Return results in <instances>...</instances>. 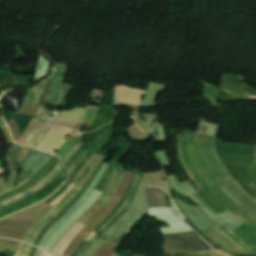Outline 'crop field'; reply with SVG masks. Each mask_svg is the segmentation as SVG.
<instances>
[{
    "label": "crop field",
    "instance_id": "crop-field-36",
    "mask_svg": "<svg viewBox=\"0 0 256 256\" xmlns=\"http://www.w3.org/2000/svg\"><path fill=\"white\" fill-rule=\"evenodd\" d=\"M135 114V119L137 120V122L141 125V127L144 129V131H150L149 128L145 125V123L142 121V119L138 116L137 111H132ZM135 120V122H136ZM136 122L137 126L139 127V129L141 130V132H144L143 129L139 126V124Z\"/></svg>",
    "mask_w": 256,
    "mask_h": 256
},
{
    "label": "crop field",
    "instance_id": "crop-field-6",
    "mask_svg": "<svg viewBox=\"0 0 256 256\" xmlns=\"http://www.w3.org/2000/svg\"><path fill=\"white\" fill-rule=\"evenodd\" d=\"M198 153L202 164L218 185L234 181L219 161L215 146L198 144Z\"/></svg>",
    "mask_w": 256,
    "mask_h": 256
},
{
    "label": "crop field",
    "instance_id": "crop-field-20",
    "mask_svg": "<svg viewBox=\"0 0 256 256\" xmlns=\"http://www.w3.org/2000/svg\"><path fill=\"white\" fill-rule=\"evenodd\" d=\"M86 108H74L71 111H61L56 123L76 127L81 121Z\"/></svg>",
    "mask_w": 256,
    "mask_h": 256
},
{
    "label": "crop field",
    "instance_id": "crop-field-49",
    "mask_svg": "<svg viewBox=\"0 0 256 256\" xmlns=\"http://www.w3.org/2000/svg\"><path fill=\"white\" fill-rule=\"evenodd\" d=\"M89 156H90V155H89ZM89 156H88V157H89ZM88 157H87V158H88ZM87 158H86V159H87ZM86 159H85V160H86ZM85 160H84V161H85ZM84 161H83V162H84ZM71 177H72V176H71Z\"/></svg>",
    "mask_w": 256,
    "mask_h": 256
},
{
    "label": "crop field",
    "instance_id": "crop-field-24",
    "mask_svg": "<svg viewBox=\"0 0 256 256\" xmlns=\"http://www.w3.org/2000/svg\"><path fill=\"white\" fill-rule=\"evenodd\" d=\"M164 251H165V255H180L185 253L196 252L182 245H179L165 237H164Z\"/></svg>",
    "mask_w": 256,
    "mask_h": 256
},
{
    "label": "crop field",
    "instance_id": "crop-field-23",
    "mask_svg": "<svg viewBox=\"0 0 256 256\" xmlns=\"http://www.w3.org/2000/svg\"><path fill=\"white\" fill-rule=\"evenodd\" d=\"M85 226L81 225L77 222V224L71 228L61 239V241L58 243V245L55 247V249L52 251V253L60 255L63 253V251L66 249V247L69 245V243L73 240V238L84 228Z\"/></svg>",
    "mask_w": 256,
    "mask_h": 256
},
{
    "label": "crop field",
    "instance_id": "crop-field-41",
    "mask_svg": "<svg viewBox=\"0 0 256 256\" xmlns=\"http://www.w3.org/2000/svg\"><path fill=\"white\" fill-rule=\"evenodd\" d=\"M97 155H98V154H96V155L94 156V158H95ZM94 158H93V159H94ZM93 159L88 163V165L93 161ZM88 165H87V166H88ZM87 166H86V167H87ZM86 167H85V168H86ZM85 168H84V169H85ZM84 169H83V171H84ZM83 171H82V172H83ZM82 172H81V173H82ZM81 173H80V175H81ZM80 175H79V176H80ZM79 176H78V177H79ZM78 177H77V179H78ZM77 179H76V180H77ZM76 180L74 181V183L76 182Z\"/></svg>",
    "mask_w": 256,
    "mask_h": 256
},
{
    "label": "crop field",
    "instance_id": "crop-field-29",
    "mask_svg": "<svg viewBox=\"0 0 256 256\" xmlns=\"http://www.w3.org/2000/svg\"><path fill=\"white\" fill-rule=\"evenodd\" d=\"M84 146V144L79 140L73 147L68 151L66 156L63 158L62 162L66 166L69 160Z\"/></svg>",
    "mask_w": 256,
    "mask_h": 256
},
{
    "label": "crop field",
    "instance_id": "crop-field-27",
    "mask_svg": "<svg viewBox=\"0 0 256 256\" xmlns=\"http://www.w3.org/2000/svg\"><path fill=\"white\" fill-rule=\"evenodd\" d=\"M124 172H125L124 166L121 164L120 168L116 171L114 177L112 178V180L106 190V193H109L112 195L114 194Z\"/></svg>",
    "mask_w": 256,
    "mask_h": 256
},
{
    "label": "crop field",
    "instance_id": "crop-field-18",
    "mask_svg": "<svg viewBox=\"0 0 256 256\" xmlns=\"http://www.w3.org/2000/svg\"><path fill=\"white\" fill-rule=\"evenodd\" d=\"M148 212V202L146 195L144 197L143 205L140 208L139 212L136 214V216L123 228L121 229L117 234H115L111 240H113L116 243H121L122 240L130 233V231L136 226L137 221H141L144 216Z\"/></svg>",
    "mask_w": 256,
    "mask_h": 256
},
{
    "label": "crop field",
    "instance_id": "crop-field-7",
    "mask_svg": "<svg viewBox=\"0 0 256 256\" xmlns=\"http://www.w3.org/2000/svg\"><path fill=\"white\" fill-rule=\"evenodd\" d=\"M68 174L66 169L64 168L61 173L42 191L32 195L31 197H28L22 201H19L13 205L7 206L0 210V219L15 212L20 209L32 206L41 200H43L45 197H47L49 194H51L53 191H55L67 178Z\"/></svg>",
    "mask_w": 256,
    "mask_h": 256
},
{
    "label": "crop field",
    "instance_id": "crop-field-15",
    "mask_svg": "<svg viewBox=\"0 0 256 256\" xmlns=\"http://www.w3.org/2000/svg\"><path fill=\"white\" fill-rule=\"evenodd\" d=\"M63 165L61 163V161L57 164V166L48 174L46 175L40 182H38L34 187H32L31 189L21 193V194H18L14 197H11L9 199H6L2 202H0V209L7 206V205H10V204H13L19 200H22L38 191H40L41 189H43L45 186H47L59 173L60 171L63 169Z\"/></svg>",
    "mask_w": 256,
    "mask_h": 256
},
{
    "label": "crop field",
    "instance_id": "crop-field-28",
    "mask_svg": "<svg viewBox=\"0 0 256 256\" xmlns=\"http://www.w3.org/2000/svg\"><path fill=\"white\" fill-rule=\"evenodd\" d=\"M90 151L82 149L76 157L69 163V165L66 167L70 172L83 160V158L89 153Z\"/></svg>",
    "mask_w": 256,
    "mask_h": 256
},
{
    "label": "crop field",
    "instance_id": "crop-field-13",
    "mask_svg": "<svg viewBox=\"0 0 256 256\" xmlns=\"http://www.w3.org/2000/svg\"><path fill=\"white\" fill-rule=\"evenodd\" d=\"M52 155L35 151L33 150L30 155L20 164L23 169L20 174V178L17 181V185H20L19 182L26 181L29 179L34 172L39 169Z\"/></svg>",
    "mask_w": 256,
    "mask_h": 256
},
{
    "label": "crop field",
    "instance_id": "crop-field-10",
    "mask_svg": "<svg viewBox=\"0 0 256 256\" xmlns=\"http://www.w3.org/2000/svg\"><path fill=\"white\" fill-rule=\"evenodd\" d=\"M73 128L53 124L36 149L54 153L61 143L69 136Z\"/></svg>",
    "mask_w": 256,
    "mask_h": 256
},
{
    "label": "crop field",
    "instance_id": "crop-field-1",
    "mask_svg": "<svg viewBox=\"0 0 256 256\" xmlns=\"http://www.w3.org/2000/svg\"><path fill=\"white\" fill-rule=\"evenodd\" d=\"M218 155L238 184L252 197H256V187L252 183L248 165L256 164L251 153L232 148L224 144H216ZM256 200V198H255Z\"/></svg>",
    "mask_w": 256,
    "mask_h": 256
},
{
    "label": "crop field",
    "instance_id": "crop-field-35",
    "mask_svg": "<svg viewBox=\"0 0 256 256\" xmlns=\"http://www.w3.org/2000/svg\"><path fill=\"white\" fill-rule=\"evenodd\" d=\"M184 221L190 226L192 227L204 240H206L211 246H213L214 248H216L217 250L221 249L218 246H216L214 243H212L209 239H207L198 229H196L189 220L184 219Z\"/></svg>",
    "mask_w": 256,
    "mask_h": 256
},
{
    "label": "crop field",
    "instance_id": "crop-field-11",
    "mask_svg": "<svg viewBox=\"0 0 256 256\" xmlns=\"http://www.w3.org/2000/svg\"><path fill=\"white\" fill-rule=\"evenodd\" d=\"M228 196L256 222V202L237 183L221 186Z\"/></svg>",
    "mask_w": 256,
    "mask_h": 256
},
{
    "label": "crop field",
    "instance_id": "crop-field-40",
    "mask_svg": "<svg viewBox=\"0 0 256 256\" xmlns=\"http://www.w3.org/2000/svg\"><path fill=\"white\" fill-rule=\"evenodd\" d=\"M73 185V184H72ZM72 185L70 186V188L72 187ZM69 188V189H70ZM69 189L64 193V194H62L54 203H52L51 205H55L68 191H69Z\"/></svg>",
    "mask_w": 256,
    "mask_h": 256
},
{
    "label": "crop field",
    "instance_id": "crop-field-3",
    "mask_svg": "<svg viewBox=\"0 0 256 256\" xmlns=\"http://www.w3.org/2000/svg\"><path fill=\"white\" fill-rule=\"evenodd\" d=\"M189 152H190V158L198 171L199 175L203 178V180H206V183L210 188L216 187V184L213 182L211 177L208 175L206 170L203 168L197 153H196V144L190 143L189 142ZM189 152H188V142L180 141V146H179V153H180V158L181 161L187 170L189 176L193 180V182L196 184V186L201 190H206L209 189L207 184L202 180V178L198 175L196 172L190 158H189Z\"/></svg>",
    "mask_w": 256,
    "mask_h": 256
},
{
    "label": "crop field",
    "instance_id": "crop-field-14",
    "mask_svg": "<svg viewBox=\"0 0 256 256\" xmlns=\"http://www.w3.org/2000/svg\"><path fill=\"white\" fill-rule=\"evenodd\" d=\"M221 89L240 98L256 97V91L249 88L236 76L223 75Z\"/></svg>",
    "mask_w": 256,
    "mask_h": 256
},
{
    "label": "crop field",
    "instance_id": "crop-field-48",
    "mask_svg": "<svg viewBox=\"0 0 256 256\" xmlns=\"http://www.w3.org/2000/svg\"><path fill=\"white\" fill-rule=\"evenodd\" d=\"M63 187H64V186H63ZM63 187H62V188H63ZM62 188H61V189H62ZM61 189H60V190H61ZM60 190H59V191H60ZM59 191H58V192H59ZM48 200H49V199H48ZM45 202H46V201H45Z\"/></svg>",
    "mask_w": 256,
    "mask_h": 256
},
{
    "label": "crop field",
    "instance_id": "crop-field-50",
    "mask_svg": "<svg viewBox=\"0 0 256 256\" xmlns=\"http://www.w3.org/2000/svg\"><path fill=\"white\" fill-rule=\"evenodd\" d=\"M49 256H52V255H49Z\"/></svg>",
    "mask_w": 256,
    "mask_h": 256
},
{
    "label": "crop field",
    "instance_id": "crop-field-39",
    "mask_svg": "<svg viewBox=\"0 0 256 256\" xmlns=\"http://www.w3.org/2000/svg\"><path fill=\"white\" fill-rule=\"evenodd\" d=\"M190 256H211L209 252L189 254Z\"/></svg>",
    "mask_w": 256,
    "mask_h": 256
},
{
    "label": "crop field",
    "instance_id": "crop-field-19",
    "mask_svg": "<svg viewBox=\"0 0 256 256\" xmlns=\"http://www.w3.org/2000/svg\"><path fill=\"white\" fill-rule=\"evenodd\" d=\"M144 91L118 86L116 87L115 99L139 105Z\"/></svg>",
    "mask_w": 256,
    "mask_h": 256
},
{
    "label": "crop field",
    "instance_id": "crop-field-31",
    "mask_svg": "<svg viewBox=\"0 0 256 256\" xmlns=\"http://www.w3.org/2000/svg\"><path fill=\"white\" fill-rule=\"evenodd\" d=\"M98 109L99 108H97V107H89L83 121L93 123V121L95 120V118L97 116Z\"/></svg>",
    "mask_w": 256,
    "mask_h": 256
},
{
    "label": "crop field",
    "instance_id": "crop-field-46",
    "mask_svg": "<svg viewBox=\"0 0 256 256\" xmlns=\"http://www.w3.org/2000/svg\"><path fill=\"white\" fill-rule=\"evenodd\" d=\"M4 172V169L0 168V175Z\"/></svg>",
    "mask_w": 256,
    "mask_h": 256
},
{
    "label": "crop field",
    "instance_id": "crop-field-43",
    "mask_svg": "<svg viewBox=\"0 0 256 256\" xmlns=\"http://www.w3.org/2000/svg\"><path fill=\"white\" fill-rule=\"evenodd\" d=\"M94 155H95V154H94ZM94 155H93V156H94ZM93 156H92V157H93ZM89 161H90V160H89ZM89 161H88V162H89ZM88 162H87V163H88ZM87 163H86V164H87ZM86 164H85V165H86ZM85 165H84V166H85ZM84 166H83V168H84ZM83 168H82V169H83ZM82 169H81V170H82ZM81 170H80V171H81ZM80 171H79V173H80ZM79 173H78V174H79ZM78 174L76 175V177L78 176ZM76 177H75V178H76ZM75 178H74V179H75ZM74 179H73V180H74Z\"/></svg>",
    "mask_w": 256,
    "mask_h": 256
},
{
    "label": "crop field",
    "instance_id": "crop-field-32",
    "mask_svg": "<svg viewBox=\"0 0 256 256\" xmlns=\"http://www.w3.org/2000/svg\"><path fill=\"white\" fill-rule=\"evenodd\" d=\"M30 250L31 246L22 243L15 256H29Z\"/></svg>",
    "mask_w": 256,
    "mask_h": 256
},
{
    "label": "crop field",
    "instance_id": "crop-field-37",
    "mask_svg": "<svg viewBox=\"0 0 256 256\" xmlns=\"http://www.w3.org/2000/svg\"><path fill=\"white\" fill-rule=\"evenodd\" d=\"M205 94L217 99L218 89L208 84Z\"/></svg>",
    "mask_w": 256,
    "mask_h": 256
},
{
    "label": "crop field",
    "instance_id": "crop-field-2",
    "mask_svg": "<svg viewBox=\"0 0 256 256\" xmlns=\"http://www.w3.org/2000/svg\"><path fill=\"white\" fill-rule=\"evenodd\" d=\"M214 214H220L229 210L242 224L250 222L256 223L238 207L220 188H214L196 195Z\"/></svg>",
    "mask_w": 256,
    "mask_h": 256
},
{
    "label": "crop field",
    "instance_id": "crop-field-44",
    "mask_svg": "<svg viewBox=\"0 0 256 256\" xmlns=\"http://www.w3.org/2000/svg\"><path fill=\"white\" fill-rule=\"evenodd\" d=\"M68 187H69V186H68ZM68 187H67V188H68ZM67 188H66V189H67ZM66 189H65L63 192H65ZM63 192H62V193H63ZM62 193H61V194H62ZM61 194H60V195H61ZM60 195H59V196H60ZM59 196H58V197H59ZM56 198H57V197H56ZM56 198H55V199H56ZM55 199H54V200H55ZM54 200H52L51 202H53ZM51 202H50V203H51ZM50 203H49V204H50Z\"/></svg>",
    "mask_w": 256,
    "mask_h": 256
},
{
    "label": "crop field",
    "instance_id": "crop-field-21",
    "mask_svg": "<svg viewBox=\"0 0 256 256\" xmlns=\"http://www.w3.org/2000/svg\"><path fill=\"white\" fill-rule=\"evenodd\" d=\"M149 208L170 207L167 194L159 189L146 188Z\"/></svg>",
    "mask_w": 256,
    "mask_h": 256
},
{
    "label": "crop field",
    "instance_id": "crop-field-16",
    "mask_svg": "<svg viewBox=\"0 0 256 256\" xmlns=\"http://www.w3.org/2000/svg\"><path fill=\"white\" fill-rule=\"evenodd\" d=\"M207 237H209L213 242L223 249L231 253H240V254H250L245 251L242 247L232 241L228 236H226L219 228L210 227L202 231Z\"/></svg>",
    "mask_w": 256,
    "mask_h": 256
},
{
    "label": "crop field",
    "instance_id": "crop-field-33",
    "mask_svg": "<svg viewBox=\"0 0 256 256\" xmlns=\"http://www.w3.org/2000/svg\"><path fill=\"white\" fill-rule=\"evenodd\" d=\"M46 132L45 131H40V132H37L33 138L30 140V142L27 144L28 147H32L34 148V146L37 144V142L40 140V138L43 136V134Z\"/></svg>",
    "mask_w": 256,
    "mask_h": 256
},
{
    "label": "crop field",
    "instance_id": "crop-field-22",
    "mask_svg": "<svg viewBox=\"0 0 256 256\" xmlns=\"http://www.w3.org/2000/svg\"><path fill=\"white\" fill-rule=\"evenodd\" d=\"M13 146L14 148L11 149L8 158L11 172L14 171L15 167L22 161V159L32 151V149L23 146H18L15 143Z\"/></svg>",
    "mask_w": 256,
    "mask_h": 256
},
{
    "label": "crop field",
    "instance_id": "crop-field-4",
    "mask_svg": "<svg viewBox=\"0 0 256 256\" xmlns=\"http://www.w3.org/2000/svg\"><path fill=\"white\" fill-rule=\"evenodd\" d=\"M137 174H138V172H135V173H134V175H133V177H132V179H131V182H130V184H129V186H128V189H127V191H126L124 197L121 199V201L118 203V205L114 208V210L107 216V218H106L100 225H98V226L95 228L96 231L114 215V213L117 211V209H118V208L122 205V203L126 200V198H127L128 194H129V192H130V190H131V187H132V185H133V183H134V180H135ZM139 175H140V173L138 174V176H137V178H136V180H135V183H134V185H133V187H132V190H131V192H130L128 198H127V200L123 203V205L119 208V210L116 212V214H115L106 224H108V223L118 214V212L123 208V206L126 204V202L128 201V199H129V197H130V195H131V193H132V191H133V188H134V186H135V184H136V181H137ZM142 176H143V174L141 173V175H140V177H139V179H138V181H137V184H136V186H135V188H134V191H133V193H132V195H131L129 201H128L127 204L124 206V208L120 211V213H119L108 225L104 224L97 232L94 230V231L86 238L88 241H90V242L93 244V243L96 241V239H97L105 230H107V228H108L110 225H112V224L128 209V207L130 206V204H131L132 201H133V198H134V196H135L136 190H137V188H138V186H139V183H140V181H141ZM105 225H106V226H105ZM104 226H105V227H104ZM103 227H104V228H103ZM102 228H103V229H102ZM101 229H102V230H101ZM100 230H101V231H100ZM99 231H100V232H99ZM98 232L100 233V235H99ZM86 239L80 244V246L77 248V250L73 253L72 256H82V255L85 253V251L92 245V244H91L90 242H88Z\"/></svg>",
    "mask_w": 256,
    "mask_h": 256
},
{
    "label": "crop field",
    "instance_id": "crop-field-47",
    "mask_svg": "<svg viewBox=\"0 0 256 256\" xmlns=\"http://www.w3.org/2000/svg\"><path fill=\"white\" fill-rule=\"evenodd\" d=\"M0 94H2V90H1V88H0Z\"/></svg>",
    "mask_w": 256,
    "mask_h": 256
},
{
    "label": "crop field",
    "instance_id": "crop-field-34",
    "mask_svg": "<svg viewBox=\"0 0 256 256\" xmlns=\"http://www.w3.org/2000/svg\"><path fill=\"white\" fill-rule=\"evenodd\" d=\"M179 139L196 142V133L186 131L179 136Z\"/></svg>",
    "mask_w": 256,
    "mask_h": 256
},
{
    "label": "crop field",
    "instance_id": "crop-field-45",
    "mask_svg": "<svg viewBox=\"0 0 256 256\" xmlns=\"http://www.w3.org/2000/svg\"><path fill=\"white\" fill-rule=\"evenodd\" d=\"M0 244L5 245V246H9V245L3 244V243H0ZM9 247H13V246H9ZM13 248H17V247H13ZM17 249H19V248H17Z\"/></svg>",
    "mask_w": 256,
    "mask_h": 256
},
{
    "label": "crop field",
    "instance_id": "crop-field-12",
    "mask_svg": "<svg viewBox=\"0 0 256 256\" xmlns=\"http://www.w3.org/2000/svg\"><path fill=\"white\" fill-rule=\"evenodd\" d=\"M223 231L247 251L252 254L256 253V228L246 223L234 230L232 234L226 229H223Z\"/></svg>",
    "mask_w": 256,
    "mask_h": 256
},
{
    "label": "crop field",
    "instance_id": "crop-field-9",
    "mask_svg": "<svg viewBox=\"0 0 256 256\" xmlns=\"http://www.w3.org/2000/svg\"><path fill=\"white\" fill-rule=\"evenodd\" d=\"M67 68L68 66L61 64L58 65L44 99L45 102L61 104L65 100L71 88L70 85L63 84Z\"/></svg>",
    "mask_w": 256,
    "mask_h": 256
},
{
    "label": "crop field",
    "instance_id": "crop-field-8",
    "mask_svg": "<svg viewBox=\"0 0 256 256\" xmlns=\"http://www.w3.org/2000/svg\"><path fill=\"white\" fill-rule=\"evenodd\" d=\"M82 186L74 184L71 190L27 232L24 241L34 244L40 230L49 223L80 191Z\"/></svg>",
    "mask_w": 256,
    "mask_h": 256
},
{
    "label": "crop field",
    "instance_id": "crop-field-25",
    "mask_svg": "<svg viewBox=\"0 0 256 256\" xmlns=\"http://www.w3.org/2000/svg\"><path fill=\"white\" fill-rule=\"evenodd\" d=\"M118 166H119V163L111 161V163L108 166V169L105 170V172L101 176L99 182L95 186V189H98V190L104 192L108 183L110 182L112 176L114 175L115 171L117 170Z\"/></svg>",
    "mask_w": 256,
    "mask_h": 256
},
{
    "label": "crop field",
    "instance_id": "crop-field-38",
    "mask_svg": "<svg viewBox=\"0 0 256 256\" xmlns=\"http://www.w3.org/2000/svg\"><path fill=\"white\" fill-rule=\"evenodd\" d=\"M112 198V195H108L103 193L102 196L99 198V200L97 201V203L101 204L102 206H106V204L110 201V199Z\"/></svg>",
    "mask_w": 256,
    "mask_h": 256
},
{
    "label": "crop field",
    "instance_id": "crop-field-5",
    "mask_svg": "<svg viewBox=\"0 0 256 256\" xmlns=\"http://www.w3.org/2000/svg\"><path fill=\"white\" fill-rule=\"evenodd\" d=\"M145 194V179L143 177L138 188L137 194L132 206L127 212L118 219L104 234H102L97 241L87 250L83 256H92L99 248H101L119 229H121L129 220L133 218L135 213L139 210L141 202Z\"/></svg>",
    "mask_w": 256,
    "mask_h": 256
},
{
    "label": "crop field",
    "instance_id": "crop-field-42",
    "mask_svg": "<svg viewBox=\"0 0 256 256\" xmlns=\"http://www.w3.org/2000/svg\"><path fill=\"white\" fill-rule=\"evenodd\" d=\"M41 256H48V253H46V252H42V254H41Z\"/></svg>",
    "mask_w": 256,
    "mask_h": 256
},
{
    "label": "crop field",
    "instance_id": "crop-field-26",
    "mask_svg": "<svg viewBox=\"0 0 256 256\" xmlns=\"http://www.w3.org/2000/svg\"><path fill=\"white\" fill-rule=\"evenodd\" d=\"M47 81H44L43 83L32 87L30 92L28 93L25 101L40 102L43 92H44V89L46 87Z\"/></svg>",
    "mask_w": 256,
    "mask_h": 256
},
{
    "label": "crop field",
    "instance_id": "crop-field-30",
    "mask_svg": "<svg viewBox=\"0 0 256 256\" xmlns=\"http://www.w3.org/2000/svg\"><path fill=\"white\" fill-rule=\"evenodd\" d=\"M79 140L75 137H69L62 145L61 149L58 151L56 155H58L61 159L66 154V152L71 148V146Z\"/></svg>",
    "mask_w": 256,
    "mask_h": 256
},
{
    "label": "crop field",
    "instance_id": "crop-field-17",
    "mask_svg": "<svg viewBox=\"0 0 256 256\" xmlns=\"http://www.w3.org/2000/svg\"><path fill=\"white\" fill-rule=\"evenodd\" d=\"M164 236L196 251L212 249L206 242L199 238L195 232L168 234Z\"/></svg>",
    "mask_w": 256,
    "mask_h": 256
}]
</instances>
